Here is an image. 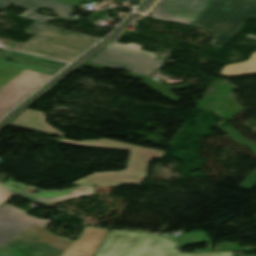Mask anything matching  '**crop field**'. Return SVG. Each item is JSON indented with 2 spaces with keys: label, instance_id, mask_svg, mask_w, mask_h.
<instances>
[{
  "label": "crop field",
  "instance_id": "obj_19",
  "mask_svg": "<svg viewBox=\"0 0 256 256\" xmlns=\"http://www.w3.org/2000/svg\"><path fill=\"white\" fill-rule=\"evenodd\" d=\"M14 194L0 187V206L7 202Z\"/></svg>",
  "mask_w": 256,
  "mask_h": 256
},
{
  "label": "crop field",
  "instance_id": "obj_11",
  "mask_svg": "<svg viewBox=\"0 0 256 256\" xmlns=\"http://www.w3.org/2000/svg\"><path fill=\"white\" fill-rule=\"evenodd\" d=\"M8 53L9 55H6ZM6 59H13L18 61V63H14L11 61H8ZM0 62L11 64L23 68H28L48 74L54 75L57 73L61 68H63L66 64L22 54L17 52H6L5 50H0Z\"/></svg>",
  "mask_w": 256,
  "mask_h": 256
},
{
  "label": "crop field",
  "instance_id": "obj_7",
  "mask_svg": "<svg viewBox=\"0 0 256 256\" xmlns=\"http://www.w3.org/2000/svg\"><path fill=\"white\" fill-rule=\"evenodd\" d=\"M50 222L51 220L37 219L27 212L5 203L0 207V246L28 228L50 233L45 229Z\"/></svg>",
  "mask_w": 256,
  "mask_h": 256
},
{
  "label": "crop field",
  "instance_id": "obj_24",
  "mask_svg": "<svg viewBox=\"0 0 256 256\" xmlns=\"http://www.w3.org/2000/svg\"><path fill=\"white\" fill-rule=\"evenodd\" d=\"M249 1H252V2H255V3H256V0H249Z\"/></svg>",
  "mask_w": 256,
  "mask_h": 256
},
{
  "label": "crop field",
  "instance_id": "obj_2",
  "mask_svg": "<svg viewBox=\"0 0 256 256\" xmlns=\"http://www.w3.org/2000/svg\"><path fill=\"white\" fill-rule=\"evenodd\" d=\"M109 230L87 227L78 238H67L28 229L0 248V256H93Z\"/></svg>",
  "mask_w": 256,
  "mask_h": 256
},
{
  "label": "crop field",
  "instance_id": "obj_10",
  "mask_svg": "<svg viewBox=\"0 0 256 256\" xmlns=\"http://www.w3.org/2000/svg\"><path fill=\"white\" fill-rule=\"evenodd\" d=\"M27 188L36 190L38 192L31 194L26 191ZM93 194H95V187H90V186H78L75 188L62 190V191H56V190L44 191L33 186H28L24 190H22L20 193H18V195L22 197L40 202L48 206H51V203L65 201L66 199H69V198H75V197H81V196H87V195H93Z\"/></svg>",
  "mask_w": 256,
  "mask_h": 256
},
{
  "label": "crop field",
  "instance_id": "obj_16",
  "mask_svg": "<svg viewBox=\"0 0 256 256\" xmlns=\"http://www.w3.org/2000/svg\"><path fill=\"white\" fill-rule=\"evenodd\" d=\"M141 47H142L141 45H137L134 43H130L128 45L115 43L113 46L110 47V49H115V50L124 51V52L146 56V57L155 59L156 56L154 53L140 50Z\"/></svg>",
  "mask_w": 256,
  "mask_h": 256
},
{
  "label": "crop field",
  "instance_id": "obj_23",
  "mask_svg": "<svg viewBox=\"0 0 256 256\" xmlns=\"http://www.w3.org/2000/svg\"><path fill=\"white\" fill-rule=\"evenodd\" d=\"M245 37L252 38V39H256V36L250 35V34H247Z\"/></svg>",
  "mask_w": 256,
  "mask_h": 256
},
{
  "label": "crop field",
  "instance_id": "obj_3",
  "mask_svg": "<svg viewBox=\"0 0 256 256\" xmlns=\"http://www.w3.org/2000/svg\"><path fill=\"white\" fill-rule=\"evenodd\" d=\"M61 143L75 146L98 147L131 152L126 170L115 172L94 173L86 179L74 184L117 188L123 184L141 185L146 178L147 166L152 158L161 159L164 152L126 144L122 142L100 139L76 142L62 138Z\"/></svg>",
  "mask_w": 256,
  "mask_h": 256
},
{
  "label": "crop field",
  "instance_id": "obj_13",
  "mask_svg": "<svg viewBox=\"0 0 256 256\" xmlns=\"http://www.w3.org/2000/svg\"><path fill=\"white\" fill-rule=\"evenodd\" d=\"M249 74H256V52L252 53L246 61L225 66L220 73L223 77H235Z\"/></svg>",
  "mask_w": 256,
  "mask_h": 256
},
{
  "label": "crop field",
  "instance_id": "obj_17",
  "mask_svg": "<svg viewBox=\"0 0 256 256\" xmlns=\"http://www.w3.org/2000/svg\"><path fill=\"white\" fill-rule=\"evenodd\" d=\"M232 253H211V254H162V255H117V256H233Z\"/></svg>",
  "mask_w": 256,
  "mask_h": 256
},
{
  "label": "crop field",
  "instance_id": "obj_4",
  "mask_svg": "<svg viewBox=\"0 0 256 256\" xmlns=\"http://www.w3.org/2000/svg\"><path fill=\"white\" fill-rule=\"evenodd\" d=\"M51 77L0 63V118Z\"/></svg>",
  "mask_w": 256,
  "mask_h": 256
},
{
  "label": "crop field",
  "instance_id": "obj_20",
  "mask_svg": "<svg viewBox=\"0 0 256 256\" xmlns=\"http://www.w3.org/2000/svg\"><path fill=\"white\" fill-rule=\"evenodd\" d=\"M4 185L8 187L10 190H12L13 192H15L16 194L26 187V185H21V184H16L11 182H8Z\"/></svg>",
  "mask_w": 256,
  "mask_h": 256
},
{
  "label": "crop field",
  "instance_id": "obj_21",
  "mask_svg": "<svg viewBox=\"0 0 256 256\" xmlns=\"http://www.w3.org/2000/svg\"><path fill=\"white\" fill-rule=\"evenodd\" d=\"M16 0H0V9L5 10Z\"/></svg>",
  "mask_w": 256,
  "mask_h": 256
},
{
  "label": "crop field",
  "instance_id": "obj_22",
  "mask_svg": "<svg viewBox=\"0 0 256 256\" xmlns=\"http://www.w3.org/2000/svg\"><path fill=\"white\" fill-rule=\"evenodd\" d=\"M60 2H64L73 6H76L78 3H80L82 0H57Z\"/></svg>",
  "mask_w": 256,
  "mask_h": 256
},
{
  "label": "crop field",
  "instance_id": "obj_8",
  "mask_svg": "<svg viewBox=\"0 0 256 256\" xmlns=\"http://www.w3.org/2000/svg\"><path fill=\"white\" fill-rule=\"evenodd\" d=\"M15 5H18V6L29 9L22 16L35 20V22L29 28H27L25 30L29 33L35 34L42 26H45V27H49V28L62 30V31H66V32L86 36V37H89V38L97 39V38H94L92 36H88V35L80 34V33H77V32L70 31V30H66V29L46 25V23L48 21H50L51 19H53L55 17H47V16L37 14L38 8L47 7L51 10H54V12L58 13L64 19L77 21L79 19L69 17L71 9H72L73 6H70V5H67V4H64V3H60V2H57V1H54V0H20ZM97 40H99V39H97Z\"/></svg>",
  "mask_w": 256,
  "mask_h": 256
},
{
  "label": "crop field",
  "instance_id": "obj_15",
  "mask_svg": "<svg viewBox=\"0 0 256 256\" xmlns=\"http://www.w3.org/2000/svg\"><path fill=\"white\" fill-rule=\"evenodd\" d=\"M192 242H195V244H199L201 242H206L208 243L207 249H194L193 252L197 251H213L211 248V242L208 236L205 234L204 231H199V232H190V233H185L181 237H179V248L186 245V244H192Z\"/></svg>",
  "mask_w": 256,
  "mask_h": 256
},
{
  "label": "crop field",
  "instance_id": "obj_18",
  "mask_svg": "<svg viewBox=\"0 0 256 256\" xmlns=\"http://www.w3.org/2000/svg\"><path fill=\"white\" fill-rule=\"evenodd\" d=\"M19 51H22V52H25V53H29V54H33V55H38V56L46 57V58H50V59H54V60H58V61L70 62V60H66V59H62V58H58V57H54V56H50V55H46V54L30 51V50H26V49H22V48H20Z\"/></svg>",
  "mask_w": 256,
  "mask_h": 256
},
{
  "label": "crop field",
  "instance_id": "obj_12",
  "mask_svg": "<svg viewBox=\"0 0 256 256\" xmlns=\"http://www.w3.org/2000/svg\"><path fill=\"white\" fill-rule=\"evenodd\" d=\"M10 125L61 136L65 135L45 122V114L43 112L30 109L20 114Z\"/></svg>",
  "mask_w": 256,
  "mask_h": 256
},
{
  "label": "crop field",
  "instance_id": "obj_9",
  "mask_svg": "<svg viewBox=\"0 0 256 256\" xmlns=\"http://www.w3.org/2000/svg\"><path fill=\"white\" fill-rule=\"evenodd\" d=\"M84 66H88V67H92V68H96V69H103L105 67L128 69V70L132 71L131 77L147 80V82L144 84H146L151 89L157 91L158 93L166 96L167 98H169L173 101L179 100V98L170 94L169 93L170 89H172V88H187L186 86H167L160 81L152 80V79L148 78L149 74L153 71L151 69H147V68H143V67H139V66H135V65H131V64H127V63H123V62H119V61H115V60H111V59H107V58H103V57L95 56L90 61H88L86 64H84Z\"/></svg>",
  "mask_w": 256,
  "mask_h": 256
},
{
  "label": "crop field",
  "instance_id": "obj_5",
  "mask_svg": "<svg viewBox=\"0 0 256 256\" xmlns=\"http://www.w3.org/2000/svg\"><path fill=\"white\" fill-rule=\"evenodd\" d=\"M181 253L172 241L149 234L111 231L96 255Z\"/></svg>",
  "mask_w": 256,
  "mask_h": 256
},
{
  "label": "crop field",
  "instance_id": "obj_14",
  "mask_svg": "<svg viewBox=\"0 0 256 256\" xmlns=\"http://www.w3.org/2000/svg\"><path fill=\"white\" fill-rule=\"evenodd\" d=\"M98 56H103L151 69H156L161 66V62L155 61V60H150V59H145V58H140L132 55H127L123 53H118L110 50H102L100 53L97 54Z\"/></svg>",
  "mask_w": 256,
  "mask_h": 256
},
{
  "label": "crop field",
  "instance_id": "obj_6",
  "mask_svg": "<svg viewBox=\"0 0 256 256\" xmlns=\"http://www.w3.org/2000/svg\"><path fill=\"white\" fill-rule=\"evenodd\" d=\"M96 40L42 27L21 47L73 60Z\"/></svg>",
  "mask_w": 256,
  "mask_h": 256
},
{
  "label": "crop field",
  "instance_id": "obj_1",
  "mask_svg": "<svg viewBox=\"0 0 256 256\" xmlns=\"http://www.w3.org/2000/svg\"><path fill=\"white\" fill-rule=\"evenodd\" d=\"M151 18L203 27L215 34L211 45L222 48L243 26L256 18V5L242 0H160Z\"/></svg>",
  "mask_w": 256,
  "mask_h": 256
}]
</instances>
